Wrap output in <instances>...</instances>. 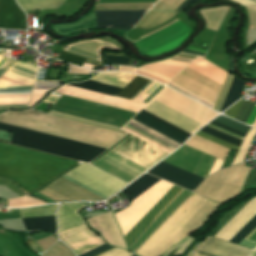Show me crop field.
I'll list each match as a JSON object with an SVG mask.
<instances>
[{
    "instance_id": "crop-field-28",
    "label": "crop field",
    "mask_w": 256,
    "mask_h": 256,
    "mask_svg": "<svg viewBox=\"0 0 256 256\" xmlns=\"http://www.w3.org/2000/svg\"><path fill=\"white\" fill-rule=\"evenodd\" d=\"M0 28L26 29L25 14L15 0H0Z\"/></svg>"
},
{
    "instance_id": "crop-field-6",
    "label": "crop field",
    "mask_w": 256,
    "mask_h": 256,
    "mask_svg": "<svg viewBox=\"0 0 256 256\" xmlns=\"http://www.w3.org/2000/svg\"><path fill=\"white\" fill-rule=\"evenodd\" d=\"M83 206L75 202L59 204L57 209L58 236L75 252L76 256L104 244L86 227L83 218L77 213Z\"/></svg>"
},
{
    "instance_id": "crop-field-43",
    "label": "crop field",
    "mask_w": 256,
    "mask_h": 256,
    "mask_svg": "<svg viewBox=\"0 0 256 256\" xmlns=\"http://www.w3.org/2000/svg\"><path fill=\"white\" fill-rule=\"evenodd\" d=\"M49 114L58 116V117H62V118H67V119L83 122V123H87V124H91V125H96V126L116 130V131H118L120 129L119 127H115V126H111V125H107V124H103V123H99V122H94V121H90V120H86V119H82V118H78V117H73V116H69V115H65V114H61V113H57V112H53V111H50Z\"/></svg>"
},
{
    "instance_id": "crop-field-42",
    "label": "crop field",
    "mask_w": 256,
    "mask_h": 256,
    "mask_svg": "<svg viewBox=\"0 0 256 256\" xmlns=\"http://www.w3.org/2000/svg\"><path fill=\"white\" fill-rule=\"evenodd\" d=\"M233 1L246 6L249 20H250V27L256 28V2H253L250 0H233Z\"/></svg>"
},
{
    "instance_id": "crop-field-60",
    "label": "crop field",
    "mask_w": 256,
    "mask_h": 256,
    "mask_svg": "<svg viewBox=\"0 0 256 256\" xmlns=\"http://www.w3.org/2000/svg\"><path fill=\"white\" fill-rule=\"evenodd\" d=\"M118 70H125V71H132V72H134V68H132V67H124V66H119Z\"/></svg>"
},
{
    "instance_id": "crop-field-40",
    "label": "crop field",
    "mask_w": 256,
    "mask_h": 256,
    "mask_svg": "<svg viewBox=\"0 0 256 256\" xmlns=\"http://www.w3.org/2000/svg\"><path fill=\"white\" fill-rule=\"evenodd\" d=\"M256 135V130L251 128V130L248 132L245 140L243 141V143L241 144L239 151L233 161V163L231 165L234 164H238L241 163L246 155L247 149L251 143V141L253 140L254 136Z\"/></svg>"
},
{
    "instance_id": "crop-field-56",
    "label": "crop field",
    "mask_w": 256,
    "mask_h": 256,
    "mask_svg": "<svg viewBox=\"0 0 256 256\" xmlns=\"http://www.w3.org/2000/svg\"><path fill=\"white\" fill-rule=\"evenodd\" d=\"M221 164H222V161L216 159V161H215V163H214L213 167L211 168V170H210V172H209L208 175H210L211 173H213V172L219 170Z\"/></svg>"
},
{
    "instance_id": "crop-field-26",
    "label": "crop field",
    "mask_w": 256,
    "mask_h": 256,
    "mask_svg": "<svg viewBox=\"0 0 256 256\" xmlns=\"http://www.w3.org/2000/svg\"><path fill=\"white\" fill-rule=\"evenodd\" d=\"M32 87H0V109L27 108Z\"/></svg>"
},
{
    "instance_id": "crop-field-41",
    "label": "crop field",
    "mask_w": 256,
    "mask_h": 256,
    "mask_svg": "<svg viewBox=\"0 0 256 256\" xmlns=\"http://www.w3.org/2000/svg\"><path fill=\"white\" fill-rule=\"evenodd\" d=\"M167 85L172 87L173 89L187 95L188 97H190V98H192V99H194V100H196V101H198V102H200V103H202V104H204V105H206L210 108H213V105H214L213 102H211V101H209V100H207V99H205V98H203V97H201V96H199V95H197V94H195V93H193V92H191V91H189V90H187V89H185V88H183V87H181V86H179V85H177V84H175L171 81Z\"/></svg>"
},
{
    "instance_id": "crop-field-61",
    "label": "crop field",
    "mask_w": 256,
    "mask_h": 256,
    "mask_svg": "<svg viewBox=\"0 0 256 256\" xmlns=\"http://www.w3.org/2000/svg\"><path fill=\"white\" fill-rule=\"evenodd\" d=\"M249 256H256V249Z\"/></svg>"
},
{
    "instance_id": "crop-field-53",
    "label": "crop field",
    "mask_w": 256,
    "mask_h": 256,
    "mask_svg": "<svg viewBox=\"0 0 256 256\" xmlns=\"http://www.w3.org/2000/svg\"><path fill=\"white\" fill-rule=\"evenodd\" d=\"M246 124L256 128V104H255V107L253 109V112H252L251 116L246 121Z\"/></svg>"
},
{
    "instance_id": "crop-field-14",
    "label": "crop field",
    "mask_w": 256,
    "mask_h": 256,
    "mask_svg": "<svg viewBox=\"0 0 256 256\" xmlns=\"http://www.w3.org/2000/svg\"><path fill=\"white\" fill-rule=\"evenodd\" d=\"M66 174L109 196L126 186V183L85 163L78 165Z\"/></svg>"
},
{
    "instance_id": "crop-field-37",
    "label": "crop field",
    "mask_w": 256,
    "mask_h": 256,
    "mask_svg": "<svg viewBox=\"0 0 256 256\" xmlns=\"http://www.w3.org/2000/svg\"><path fill=\"white\" fill-rule=\"evenodd\" d=\"M244 84L245 83L240 82L236 78H234L233 83L229 89V92L227 94V97L224 101V104L220 112H222L223 110H225L227 107H229L231 104H233L235 101L238 100L239 94Z\"/></svg>"
},
{
    "instance_id": "crop-field-17",
    "label": "crop field",
    "mask_w": 256,
    "mask_h": 256,
    "mask_svg": "<svg viewBox=\"0 0 256 256\" xmlns=\"http://www.w3.org/2000/svg\"><path fill=\"white\" fill-rule=\"evenodd\" d=\"M55 92L80 98V99H84V100H88V101H92V102H96V103L107 105V106L131 111V112H135V113H137L144 106L143 104L134 103L131 101H127V100L79 89V88H75L67 85H64L63 87H61Z\"/></svg>"
},
{
    "instance_id": "crop-field-32",
    "label": "crop field",
    "mask_w": 256,
    "mask_h": 256,
    "mask_svg": "<svg viewBox=\"0 0 256 256\" xmlns=\"http://www.w3.org/2000/svg\"><path fill=\"white\" fill-rule=\"evenodd\" d=\"M187 67L205 75L206 77L223 84V81L226 76V72L212 66L208 62H206L204 59L197 57L191 64H189Z\"/></svg>"
},
{
    "instance_id": "crop-field-33",
    "label": "crop field",
    "mask_w": 256,
    "mask_h": 256,
    "mask_svg": "<svg viewBox=\"0 0 256 256\" xmlns=\"http://www.w3.org/2000/svg\"><path fill=\"white\" fill-rule=\"evenodd\" d=\"M65 0H17L24 11L57 9Z\"/></svg>"
},
{
    "instance_id": "crop-field-13",
    "label": "crop field",
    "mask_w": 256,
    "mask_h": 256,
    "mask_svg": "<svg viewBox=\"0 0 256 256\" xmlns=\"http://www.w3.org/2000/svg\"><path fill=\"white\" fill-rule=\"evenodd\" d=\"M214 121L219 122V123H221V124H224V125H226V126L232 127V128L237 129V130H239V131H242V132H244V133H246V134H247V132L249 131L248 126L239 124V123H237V122H235V121H233V120H231V119H228V118H226V117H224V116H218V117H216V118L214 119ZM214 121H211L210 123L215 124V125H217V126H219V127H222V128H224V129H227V130H229V131H231V132H234V133H236V134H239V135H241V136H243V137H245V135H246V134H244V133H242V132H239V131L234 130V129L229 128V127H226V126L221 125V124H219V123H216V122H214ZM210 123H209L207 126L212 127V128H214V129H217V130L222 131V132H224V133H226V134H229V135H231V136H234V137H236V138H239V139L243 140V137L238 136V135H236V134H234V133H231V132H229V131H226V130H224V129H222V128H219V127H217V126H214V125H212V124H210ZM207 126H204V127L201 129V131L206 132V133H208V134H210V135H213V136H215V137H218V138H220V139H223V140H225V141H228V142H230V143H232V144H235V145H237V146H240V144H241V142H242L241 140L236 139V138H234V137H231V136H229V135H226V134H224V133H222V132H219V131L214 130V129H212V128H209V127H207ZM201 131H199L198 133H196V135L201 136V137H203V138H205V139H208V140H210V141H213V142H215V143H217V144H220V145H222V146H225V147H227V148H229V149L238 150V148H239V147H237V146H235V145H232V144H230V143H228V142H225V141H223V140H220V139H218V138H215V137H213V136H210V135H208V134H206V133H203V132H201Z\"/></svg>"
},
{
    "instance_id": "crop-field-18",
    "label": "crop field",
    "mask_w": 256,
    "mask_h": 256,
    "mask_svg": "<svg viewBox=\"0 0 256 256\" xmlns=\"http://www.w3.org/2000/svg\"><path fill=\"white\" fill-rule=\"evenodd\" d=\"M147 11L95 12L97 28L131 30Z\"/></svg>"
},
{
    "instance_id": "crop-field-59",
    "label": "crop field",
    "mask_w": 256,
    "mask_h": 256,
    "mask_svg": "<svg viewBox=\"0 0 256 256\" xmlns=\"http://www.w3.org/2000/svg\"><path fill=\"white\" fill-rule=\"evenodd\" d=\"M193 0H186L179 8L178 10L183 11Z\"/></svg>"
},
{
    "instance_id": "crop-field-30",
    "label": "crop field",
    "mask_w": 256,
    "mask_h": 256,
    "mask_svg": "<svg viewBox=\"0 0 256 256\" xmlns=\"http://www.w3.org/2000/svg\"><path fill=\"white\" fill-rule=\"evenodd\" d=\"M65 47L66 48L64 50L68 52H71L83 57H87L99 62H100L101 47H109V48L117 49V47L112 43L98 41V40L77 42Z\"/></svg>"
},
{
    "instance_id": "crop-field-51",
    "label": "crop field",
    "mask_w": 256,
    "mask_h": 256,
    "mask_svg": "<svg viewBox=\"0 0 256 256\" xmlns=\"http://www.w3.org/2000/svg\"><path fill=\"white\" fill-rule=\"evenodd\" d=\"M68 73H73V74H91V71H88L86 69L70 65L69 68H68Z\"/></svg>"
},
{
    "instance_id": "crop-field-62",
    "label": "crop field",
    "mask_w": 256,
    "mask_h": 256,
    "mask_svg": "<svg viewBox=\"0 0 256 256\" xmlns=\"http://www.w3.org/2000/svg\"><path fill=\"white\" fill-rule=\"evenodd\" d=\"M132 256H134V255H132Z\"/></svg>"
},
{
    "instance_id": "crop-field-34",
    "label": "crop field",
    "mask_w": 256,
    "mask_h": 256,
    "mask_svg": "<svg viewBox=\"0 0 256 256\" xmlns=\"http://www.w3.org/2000/svg\"><path fill=\"white\" fill-rule=\"evenodd\" d=\"M22 220L24 222L26 230L44 229L51 233H54V231H55L54 216L29 218V219H22Z\"/></svg>"
},
{
    "instance_id": "crop-field-52",
    "label": "crop field",
    "mask_w": 256,
    "mask_h": 256,
    "mask_svg": "<svg viewBox=\"0 0 256 256\" xmlns=\"http://www.w3.org/2000/svg\"><path fill=\"white\" fill-rule=\"evenodd\" d=\"M108 248H110V247L107 246L106 244H104V245H102V246H100L98 248H95V249H93V250H91V251H89L87 253H84V254H82L80 256H93V255H95V254H97V253H99L101 251H104V250H106Z\"/></svg>"
},
{
    "instance_id": "crop-field-55",
    "label": "crop field",
    "mask_w": 256,
    "mask_h": 256,
    "mask_svg": "<svg viewBox=\"0 0 256 256\" xmlns=\"http://www.w3.org/2000/svg\"><path fill=\"white\" fill-rule=\"evenodd\" d=\"M60 95L51 94L44 102L55 104V102L59 99Z\"/></svg>"
},
{
    "instance_id": "crop-field-5",
    "label": "crop field",
    "mask_w": 256,
    "mask_h": 256,
    "mask_svg": "<svg viewBox=\"0 0 256 256\" xmlns=\"http://www.w3.org/2000/svg\"><path fill=\"white\" fill-rule=\"evenodd\" d=\"M0 129L12 132L11 144L85 162L106 150L3 123Z\"/></svg>"
},
{
    "instance_id": "crop-field-11",
    "label": "crop field",
    "mask_w": 256,
    "mask_h": 256,
    "mask_svg": "<svg viewBox=\"0 0 256 256\" xmlns=\"http://www.w3.org/2000/svg\"><path fill=\"white\" fill-rule=\"evenodd\" d=\"M153 100L201 123L206 124L217 116L208 108L168 89L165 88Z\"/></svg>"
},
{
    "instance_id": "crop-field-21",
    "label": "crop field",
    "mask_w": 256,
    "mask_h": 256,
    "mask_svg": "<svg viewBox=\"0 0 256 256\" xmlns=\"http://www.w3.org/2000/svg\"><path fill=\"white\" fill-rule=\"evenodd\" d=\"M133 120L179 142L183 143L187 140L186 137H190L192 134L168 123L167 121L145 111H140Z\"/></svg>"
},
{
    "instance_id": "crop-field-44",
    "label": "crop field",
    "mask_w": 256,
    "mask_h": 256,
    "mask_svg": "<svg viewBox=\"0 0 256 256\" xmlns=\"http://www.w3.org/2000/svg\"><path fill=\"white\" fill-rule=\"evenodd\" d=\"M233 78L234 77L230 76L229 74L227 75L226 80H225V82L223 84V87L221 89V92H220V94L218 96V99L216 101V104H215L213 110L219 112V110H220V108H221V106L223 104V101L225 99V96L227 94V91H228V89H229V87L231 85V82H232Z\"/></svg>"
},
{
    "instance_id": "crop-field-7",
    "label": "crop field",
    "mask_w": 256,
    "mask_h": 256,
    "mask_svg": "<svg viewBox=\"0 0 256 256\" xmlns=\"http://www.w3.org/2000/svg\"><path fill=\"white\" fill-rule=\"evenodd\" d=\"M93 80L108 82L112 84L122 85L125 86L128 84L132 79L131 78H125V77H119V76H113V75H107V74H101L98 73L96 77L92 78ZM88 80L80 83H72L68 84L71 86L107 94L114 96L118 91H120L123 87L107 84L103 82ZM149 79H146L144 77L137 76L133 81H131L127 86H125L119 93L115 95V97L128 99L132 94H134L141 86H143ZM157 83L150 80L148 83H146L140 90L144 92H148L152 87H154ZM164 86L161 84H157L153 89H151L146 95L145 93L141 91H137L132 97L129 98L131 101L137 102L141 97H144L140 99L138 102L146 104L154 95H156Z\"/></svg>"
},
{
    "instance_id": "crop-field-39",
    "label": "crop field",
    "mask_w": 256,
    "mask_h": 256,
    "mask_svg": "<svg viewBox=\"0 0 256 256\" xmlns=\"http://www.w3.org/2000/svg\"><path fill=\"white\" fill-rule=\"evenodd\" d=\"M151 4L99 5L98 11L146 10Z\"/></svg>"
},
{
    "instance_id": "crop-field-31",
    "label": "crop field",
    "mask_w": 256,
    "mask_h": 256,
    "mask_svg": "<svg viewBox=\"0 0 256 256\" xmlns=\"http://www.w3.org/2000/svg\"><path fill=\"white\" fill-rule=\"evenodd\" d=\"M185 145L190 146L194 149H197L199 151H202L206 154H209L215 158H218L222 161H224L225 157L227 156L229 149L224 148L220 145H217L215 143H212L208 140H205L203 138H200L196 135H193L186 143Z\"/></svg>"
},
{
    "instance_id": "crop-field-22",
    "label": "crop field",
    "mask_w": 256,
    "mask_h": 256,
    "mask_svg": "<svg viewBox=\"0 0 256 256\" xmlns=\"http://www.w3.org/2000/svg\"><path fill=\"white\" fill-rule=\"evenodd\" d=\"M122 129L167 152L168 154L174 151L180 145L132 120Z\"/></svg>"
},
{
    "instance_id": "crop-field-4",
    "label": "crop field",
    "mask_w": 256,
    "mask_h": 256,
    "mask_svg": "<svg viewBox=\"0 0 256 256\" xmlns=\"http://www.w3.org/2000/svg\"><path fill=\"white\" fill-rule=\"evenodd\" d=\"M114 151L146 166L150 167L166 153L135 138L130 137ZM129 183L147 168L113 152L112 150L92 164Z\"/></svg>"
},
{
    "instance_id": "crop-field-20",
    "label": "crop field",
    "mask_w": 256,
    "mask_h": 256,
    "mask_svg": "<svg viewBox=\"0 0 256 256\" xmlns=\"http://www.w3.org/2000/svg\"><path fill=\"white\" fill-rule=\"evenodd\" d=\"M40 194L52 200H72V199H100L101 197L65 180L61 179L50 185Z\"/></svg>"
},
{
    "instance_id": "crop-field-47",
    "label": "crop field",
    "mask_w": 256,
    "mask_h": 256,
    "mask_svg": "<svg viewBox=\"0 0 256 256\" xmlns=\"http://www.w3.org/2000/svg\"><path fill=\"white\" fill-rule=\"evenodd\" d=\"M58 58L61 59V60H64V61H68V62H71V63H74V64L81 65V66H82L83 62L85 61L84 58H80V57L70 55V54H67V53H64V52H62L59 55Z\"/></svg>"
},
{
    "instance_id": "crop-field-15",
    "label": "crop field",
    "mask_w": 256,
    "mask_h": 256,
    "mask_svg": "<svg viewBox=\"0 0 256 256\" xmlns=\"http://www.w3.org/2000/svg\"><path fill=\"white\" fill-rule=\"evenodd\" d=\"M163 161L205 178L215 158L183 145Z\"/></svg>"
},
{
    "instance_id": "crop-field-45",
    "label": "crop field",
    "mask_w": 256,
    "mask_h": 256,
    "mask_svg": "<svg viewBox=\"0 0 256 256\" xmlns=\"http://www.w3.org/2000/svg\"><path fill=\"white\" fill-rule=\"evenodd\" d=\"M195 240L196 239L188 236L184 240H182L179 244H177L176 246L172 247L167 252H165L162 256H166L171 250H173L174 248H176L182 243L183 245L175 252L174 255H183L188 250V248L194 243Z\"/></svg>"
},
{
    "instance_id": "crop-field-50",
    "label": "crop field",
    "mask_w": 256,
    "mask_h": 256,
    "mask_svg": "<svg viewBox=\"0 0 256 256\" xmlns=\"http://www.w3.org/2000/svg\"><path fill=\"white\" fill-rule=\"evenodd\" d=\"M242 99H240L233 106H231L227 111L224 112V114H226L227 116L234 119L235 115L237 114V112L242 104Z\"/></svg>"
},
{
    "instance_id": "crop-field-35",
    "label": "crop field",
    "mask_w": 256,
    "mask_h": 256,
    "mask_svg": "<svg viewBox=\"0 0 256 256\" xmlns=\"http://www.w3.org/2000/svg\"><path fill=\"white\" fill-rule=\"evenodd\" d=\"M228 7H217L215 9H207L204 11H201V15L204 16L207 27L217 30Z\"/></svg>"
},
{
    "instance_id": "crop-field-24",
    "label": "crop field",
    "mask_w": 256,
    "mask_h": 256,
    "mask_svg": "<svg viewBox=\"0 0 256 256\" xmlns=\"http://www.w3.org/2000/svg\"><path fill=\"white\" fill-rule=\"evenodd\" d=\"M113 220L114 219L111 213L109 212L100 216L87 219L86 221L88 225L92 227V226H96V225L113 221ZM91 229L98 232L104 240L106 239L108 241L109 244L116 245L126 249V245L123 241V238L119 232V229L115 221L109 222L103 225H99L96 227H92Z\"/></svg>"
},
{
    "instance_id": "crop-field-1",
    "label": "crop field",
    "mask_w": 256,
    "mask_h": 256,
    "mask_svg": "<svg viewBox=\"0 0 256 256\" xmlns=\"http://www.w3.org/2000/svg\"><path fill=\"white\" fill-rule=\"evenodd\" d=\"M0 152L70 168L76 161L0 143ZM0 153V177L32 193L67 168Z\"/></svg>"
},
{
    "instance_id": "crop-field-58",
    "label": "crop field",
    "mask_w": 256,
    "mask_h": 256,
    "mask_svg": "<svg viewBox=\"0 0 256 256\" xmlns=\"http://www.w3.org/2000/svg\"><path fill=\"white\" fill-rule=\"evenodd\" d=\"M255 229H256V228H255ZM255 229H254V230H255ZM254 230H253V231H254ZM249 234H250V233H249ZM249 234H248V235H249ZM248 235H247V236H248ZM247 236H246V237H247ZM246 237H245V238H246ZM245 238H244V239H245ZM246 240H249V241H252V242L256 243V230H255L254 232H252V233L246 238Z\"/></svg>"
},
{
    "instance_id": "crop-field-48",
    "label": "crop field",
    "mask_w": 256,
    "mask_h": 256,
    "mask_svg": "<svg viewBox=\"0 0 256 256\" xmlns=\"http://www.w3.org/2000/svg\"><path fill=\"white\" fill-rule=\"evenodd\" d=\"M132 255L128 251H124L122 249L114 248L104 254H101L99 256H130Z\"/></svg>"
},
{
    "instance_id": "crop-field-2",
    "label": "crop field",
    "mask_w": 256,
    "mask_h": 256,
    "mask_svg": "<svg viewBox=\"0 0 256 256\" xmlns=\"http://www.w3.org/2000/svg\"><path fill=\"white\" fill-rule=\"evenodd\" d=\"M220 206L192 193L135 253L161 256L194 232Z\"/></svg>"
},
{
    "instance_id": "crop-field-16",
    "label": "crop field",
    "mask_w": 256,
    "mask_h": 256,
    "mask_svg": "<svg viewBox=\"0 0 256 256\" xmlns=\"http://www.w3.org/2000/svg\"><path fill=\"white\" fill-rule=\"evenodd\" d=\"M195 57L197 56L180 53L173 58L138 67L136 73L166 83Z\"/></svg>"
},
{
    "instance_id": "crop-field-12",
    "label": "crop field",
    "mask_w": 256,
    "mask_h": 256,
    "mask_svg": "<svg viewBox=\"0 0 256 256\" xmlns=\"http://www.w3.org/2000/svg\"><path fill=\"white\" fill-rule=\"evenodd\" d=\"M254 215H256V197L249 200L240 211L215 236L229 241ZM256 226V216L253 217L231 240L238 244Z\"/></svg>"
},
{
    "instance_id": "crop-field-57",
    "label": "crop field",
    "mask_w": 256,
    "mask_h": 256,
    "mask_svg": "<svg viewBox=\"0 0 256 256\" xmlns=\"http://www.w3.org/2000/svg\"><path fill=\"white\" fill-rule=\"evenodd\" d=\"M187 50H191V51H195V52H199V53H203V54L206 53L205 51H202V50H200V49H194V48H191V47H189ZM187 50H184L183 52L203 56V54H199V53H195V52H191V51H187Z\"/></svg>"
},
{
    "instance_id": "crop-field-49",
    "label": "crop field",
    "mask_w": 256,
    "mask_h": 256,
    "mask_svg": "<svg viewBox=\"0 0 256 256\" xmlns=\"http://www.w3.org/2000/svg\"><path fill=\"white\" fill-rule=\"evenodd\" d=\"M105 59H106V63H109V64H124V65H126L128 58L106 55Z\"/></svg>"
},
{
    "instance_id": "crop-field-25",
    "label": "crop field",
    "mask_w": 256,
    "mask_h": 256,
    "mask_svg": "<svg viewBox=\"0 0 256 256\" xmlns=\"http://www.w3.org/2000/svg\"><path fill=\"white\" fill-rule=\"evenodd\" d=\"M143 109L167 120L168 122L190 132V133H194L196 132L200 127H202L203 125L155 102V101H151L146 107H144Z\"/></svg>"
},
{
    "instance_id": "crop-field-9",
    "label": "crop field",
    "mask_w": 256,
    "mask_h": 256,
    "mask_svg": "<svg viewBox=\"0 0 256 256\" xmlns=\"http://www.w3.org/2000/svg\"><path fill=\"white\" fill-rule=\"evenodd\" d=\"M232 166L208 177L195 192L222 203L239 194L250 168ZM247 178V177H246Z\"/></svg>"
},
{
    "instance_id": "crop-field-38",
    "label": "crop field",
    "mask_w": 256,
    "mask_h": 256,
    "mask_svg": "<svg viewBox=\"0 0 256 256\" xmlns=\"http://www.w3.org/2000/svg\"><path fill=\"white\" fill-rule=\"evenodd\" d=\"M61 84V81H36L32 98H43L49 90Z\"/></svg>"
},
{
    "instance_id": "crop-field-23",
    "label": "crop field",
    "mask_w": 256,
    "mask_h": 256,
    "mask_svg": "<svg viewBox=\"0 0 256 256\" xmlns=\"http://www.w3.org/2000/svg\"><path fill=\"white\" fill-rule=\"evenodd\" d=\"M196 251H200L213 256H247L251 249L208 237L204 244L200 243ZM191 256L205 255L195 253L194 251Z\"/></svg>"
},
{
    "instance_id": "crop-field-27",
    "label": "crop field",
    "mask_w": 256,
    "mask_h": 256,
    "mask_svg": "<svg viewBox=\"0 0 256 256\" xmlns=\"http://www.w3.org/2000/svg\"><path fill=\"white\" fill-rule=\"evenodd\" d=\"M36 71L33 65L17 62L0 78V86L33 85Z\"/></svg>"
},
{
    "instance_id": "crop-field-54",
    "label": "crop field",
    "mask_w": 256,
    "mask_h": 256,
    "mask_svg": "<svg viewBox=\"0 0 256 256\" xmlns=\"http://www.w3.org/2000/svg\"><path fill=\"white\" fill-rule=\"evenodd\" d=\"M6 60H7V58L0 56V67L3 65V63H4ZM10 60H11V59H8L0 69H3V68L6 66V64H7ZM13 62H14V61L11 60V61L8 63V65H7L4 69H7ZM15 63H16V61H15L12 65H14ZM12 65H11V66H12ZM11 66H10V67H11ZM10 67H9V68H10ZM9 68H8V69H9Z\"/></svg>"
},
{
    "instance_id": "crop-field-10",
    "label": "crop field",
    "mask_w": 256,
    "mask_h": 256,
    "mask_svg": "<svg viewBox=\"0 0 256 256\" xmlns=\"http://www.w3.org/2000/svg\"><path fill=\"white\" fill-rule=\"evenodd\" d=\"M156 180H158V178L150 176L148 174H144L121 191L130 202L146 188H148L151 184H153ZM179 190L180 188L173 185L162 196V198L124 236L127 244H129L136 237V235L154 218V216L172 199V197Z\"/></svg>"
},
{
    "instance_id": "crop-field-3",
    "label": "crop field",
    "mask_w": 256,
    "mask_h": 256,
    "mask_svg": "<svg viewBox=\"0 0 256 256\" xmlns=\"http://www.w3.org/2000/svg\"><path fill=\"white\" fill-rule=\"evenodd\" d=\"M0 122L108 149L126 134L34 111L7 112Z\"/></svg>"
},
{
    "instance_id": "crop-field-36",
    "label": "crop field",
    "mask_w": 256,
    "mask_h": 256,
    "mask_svg": "<svg viewBox=\"0 0 256 256\" xmlns=\"http://www.w3.org/2000/svg\"><path fill=\"white\" fill-rule=\"evenodd\" d=\"M54 207L55 204L37 208L19 209V211L21 218L49 216L54 215Z\"/></svg>"
},
{
    "instance_id": "crop-field-8",
    "label": "crop field",
    "mask_w": 256,
    "mask_h": 256,
    "mask_svg": "<svg viewBox=\"0 0 256 256\" xmlns=\"http://www.w3.org/2000/svg\"><path fill=\"white\" fill-rule=\"evenodd\" d=\"M53 111L122 127L135 113L62 95Z\"/></svg>"
},
{
    "instance_id": "crop-field-29",
    "label": "crop field",
    "mask_w": 256,
    "mask_h": 256,
    "mask_svg": "<svg viewBox=\"0 0 256 256\" xmlns=\"http://www.w3.org/2000/svg\"><path fill=\"white\" fill-rule=\"evenodd\" d=\"M184 0H160L153 9H177ZM176 11H150L148 12L137 26L151 27L174 15Z\"/></svg>"
},
{
    "instance_id": "crop-field-46",
    "label": "crop field",
    "mask_w": 256,
    "mask_h": 256,
    "mask_svg": "<svg viewBox=\"0 0 256 256\" xmlns=\"http://www.w3.org/2000/svg\"><path fill=\"white\" fill-rule=\"evenodd\" d=\"M253 105L254 104L243 102L240 111L238 112L237 116L235 117V120L245 123V121L248 119V117L253 109Z\"/></svg>"
},
{
    "instance_id": "crop-field-19",
    "label": "crop field",
    "mask_w": 256,
    "mask_h": 256,
    "mask_svg": "<svg viewBox=\"0 0 256 256\" xmlns=\"http://www.w3.org/2000/svg\"><path fill=\"white\" fill-rule=\"evenodd\" d=\"M148 172L189 190H194L203 180L201 177L171 166L163 161Z\"/></svg>"
}]
</instances>
